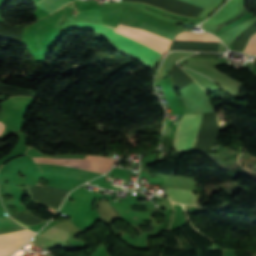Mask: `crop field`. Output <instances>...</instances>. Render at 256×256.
I'll return each instance as SVG.
<instances>
[{
    "mask_svg": "<svg viewBox=\"0 0 256 256\" xmlns=\"http://www.w3.org/2000/svg\"><path fill=\"white\" fill-rule=\"evenodd\" d=\"M76 27L91 28L100 31L101 33L108 36L109 39L116 46L146 61L153 67L156 61L159 60L160 57L162 56V53H165L168 50L172 42L168 39L160 37L146 30L136 29L129 26L118 24L116 31L162 52L160 53L148 46H145L133 39H130L114 31L115 28L113 27L87 22H76Z\"/></svg>",
    "mask_w": 256,
    "mask_h": 256,
    "instance_id": "8a807250",
    "label": "crop field"
},
{
    "mask_svg": "<svg viewBox=\"0 0 256 256\" xmlns=\"http://www.w3.org/2000/svg\"><path fill=\"white\" fill-rule=\"evenodd\" d=\"M73 7L71 3L64 9L38 21L34 28V34L40 53H47L50 50L60 35L58 24L61 18L73 14L70 9Z\"/></svg>",
    "mask_w": 256,
    "mask_h": 256,
    "instance_id": "ac0d7876",
    "label": "crop field"
},
{
    "mask_svg": "<svg viewBox=\"0 0 256 256\" xmlns=\"http://www.w3.org/2000/svg\"><path fill=\"white\" fill-rule=\"evenodd\" d=\"M202 114L184 115L179 121L173 149L191 151L194 148Z\"/></svg>",
    "mask_w": 256,
    "mask_h": 256,
    "instance_id": "34b2d1b8",
    "label": "crop field"
},
{
    "mask_svg": "<svg viewBox=\"0 0 256 256\" xmlns=\"http://www.w3.org/2000/svg\"><path fill=\"white\" fill-rule=\"evenodd\" d=\"M36 164H37V167H38L40 173L58 175V176L71 178V179H75V180H79V181H83V182H87V181L102 174V173L84 170V169L75 168V167H70V166L42 164V163H36ZM28 191H29V189H28ZM29 194H30V191H29ZM30 197H31V195H30ZM49 208L53 209L50 206H49ZM51 209H49V210L54 212L55 214L57 213V212H55L57 210L53 209V210H55V211H53Z\"/></svg>",
    "mask_w": 256,
    "mask_h": 256,
    "instance_id": "412701ff",
    "label": "crop field"
},
{
    "mask_svg": "<svg viewBox=\"0 0 256 256\" xmlns=\"http://www.w3.org/2000/svg\"><path fill=\"white\" fill-rule=\"evenodd\" d=\"M35 234L27 229L7 235H0V256H9Z\"/></svg>",
    "mask_w": 256,
    "mask_h": 256,
    "instance_id": "f4fd0767",
    "label": "crop field"
},
{
    "mask_svg": "<svg viewBox=\"0 0 256 256\" xmlns=\"http://www.w3.org/2000/svg\"><path fill=\"white\" fill-rule=\"evenodd\" d=\"M165 195H167L171 201L178 204L194 205L197 199V195H194L192 191L188 190L167 188Z\"/></svg>",
    "mask_w": 256,
    "mask_h": 256,
    "instance_id": "dd49c442",
    "label": "crop field"
},
{
    "mask_svg": "<svg viewBox=\"0 0 256 256\" xmlns=\"http://www.w3.org/2000/svg\"><path fill=\"white\" fill-rule=\"evenodd\" d=\"M175 40L220 42L212 35L193 32H182L176 36Z\"/></svg>",
    "mask_w": 256,
    "mask_h": 256,
    "instance_id": "e52e79f7",
    "label": "crop field"
},
{
    "mask_svg": "<svg viewBox=\"0 0 256 256\" xmlns=\"http://www.w3.org/2000/svg\"><path fill=\"white\" fill-rule=\"evenodd\" d=\"M39 236L49 238L54 241H68L69 240V232L66 230L57 228V227H51Z\"/></svg>",
    "mask_w": 256,
    "mask_h": 256,
    "instance_id": "d8731c3e",
    "label": "crop field"
},
{
    "mask_svg": "<svg viewBox=\"0 0 256 256\" xmlns=\"http://www.w3.org/2000/svg\"><path fill=\"white\" fill-rule=\"evenodd\" d=\"M25 229L17 225L9 216L0 218V234L12 233Z\"/></svg>",
    "mask_w": 256,
    "mask_h": 256,
    "instance_id": "5a996713",
    "label": "crop field"
},
{
    "mask_svg": "<svg viewBox=\"0 0 256 256\" xmlns=\"http://www.w3.org/2000/svg\"><path fill=\"white\" fill-rule=\"evenodd\" d=\"M69 3H70L69 1H65V0H41L37 3V5L43 7L48 12L52 13Z\"/></svg>",
    "mask_w": 256,
    "mask_h": 256,
    "instance_id": "3316defc",
    "label": "crop field"
},
{
    "mask_svg": "<svg viewBox=\"0 0 256 256\" xmlns=\"http://www.w3.org/2000/svg\"><path fill=\"white\" fill-rule=\"evenodd\" d=\"M244 52L256 54V33L251 35L249 41L243 49Z\"/></svg>",
    "mask_w": 256,
    "mask_h": 256,
    "instance_id": "28ad6ade",
    "label": "crop field"
},
{
    "mask_svg": "<svg viewBox=\"0 0 256 256\" xmlns=\"http://www.w3.org/2000/svg\"><path fill=\"white\" fill-rule=\"evenodd\" d=\"M2 129H3V123L0 122V134L2 132ZM3 133V132H2Z\"/></svg>",
    "mask_w": 256,
    "mask_h": 256,
    "instance_id": "d1516ede",
    "label": "crop field"
},
{
    "mask_svg": "<svg viewBox=\"0 0 256 256\" xmlns=\"http://www.w3.org/2000/svg\"><path fill=\"white\" fill-rule=\"evenodd\" d=\"M28 211V210H27ZM29 212V211H28ZM33 216V215H32ZM34 217V216H33ZM36 218V217H35ZM38 219V218H37ZM42 220V219H41ZM47 221V220H46Z\"/></svg>",
    "mask_w": 256,
    "mask_h": 256,
    "instance_id": "22f410ed",
    "label": "crop field"
}]
</instances>
